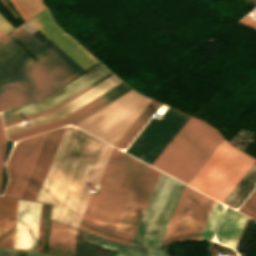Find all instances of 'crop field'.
Segmentation results:
<instances>
[{
	"label": "crop field",
	"mask_w": 256,
	"mask_h": 256,
	"mask_svg": "<svg viewBox=\"0 0 256 256\" xmlns=\"http://www.w3.org/2000/svg\"><path fill=\"white\" fill-rule=\"evenodd\" d=\"M149 101L132 90L75 126L114 146Z\"/></svg>",
	"instance_id": "dd49c442"
},
{
	"label": "crop field",
	"mask_w": 256,
	"mask_h": 256,
	"mask_svg": "<svg viewBox=\"0 0 256 256\" xmlns=\"http://www.w3.org/2000/svg\"><path fill=\"white\" fill-rule=\"evenodd\" d=\"M100 66L103 69H105L107 72H110L104 66H102L100 64V65L96 66L95 68H93L92 70H90L87 73H85L84 75L80 76L76 80L72 81L68 85L64 86L60 90L56 91L52 95L48 96L47 98L39 100V101L34 102L32 104L38 103L40 101L47 100L49 97L53 96L54 94L58 93L59 91L63 90L64 88L68 87L69 85L73 84L74 82H76L77 80L81 79L82 77H84L85 75L89 74L90 72H92L93 70L97 69ZM101 67L98 68L97 70L93 71L89 75L85 76L81 80L77 81L73 85L69 86L68 88L64 89L63 91L59 92L58 94L54 95L53 97L49 98L45 102H41V103L35 104L33 106H30L32 104L26 105V106H30V107L22 106V107H26V108H23V109H19V108H22V107L16 108V109H19V110L13 109L15 111L9 110V111H12V112H9V111L3 112L2 114L9 112V113L3 115L4 121L8 122V121H11V120H14V119H18V118H21V117H24V116H27V115H30V114H33V113H36V112H39V111H43V110H46V109H49V108H52V107L56 106L57 104L61 103L65 99L69 98L70 96H72L76 92L80 91L84 87L88 86L89 84H91L95 80H97L100 77H102L103 75L107 74V72L104 71Z\"/></svg>",
	"instance_id": "d1516ede"
},
{
	"label": "crop field",
	"mask_w": 256,
	"mask_h": 256,
	"mask_svg": "<svg viewBox=\"0 0 256 256\" xmlns=\"http://www.w3.org/2000/svg\"><path fill=\"white\" fill-rule=\"evenodd\" d=\"M238 211L252 217L256 221V188L240 206Z\"/></svg>",
	"instance_id": "ae1a2a85"
},
{
	"label": "crop field",
	"mask_w": 256,
	"mask_h": 256,
	"mask_svg": "<svg viewBox=\"0 0 256 256\" xmlns=\"http://www.w3.org/2000/svg\"><path fill=\"white\" fill-rule=\"evenodd\" d=\"M5 143H6V138H5L3 126H2V123H1V119H0V183H1Z\"/></svg>",
	"instance_id": "d3111659"
},
{
	"label": "crop field",
	"mask_w": 256,
	"mask_h": 256,
	"mask_svg": "<svg viewBox=\"0 0 256 256\" xmlns=\"http://www.w3.org/2000/svg\"><path fill=\"white\" fill-rule=\"evenodd\" d=\"M65 84L39 60L0 83V111L40 99Z\"/></svg>",
	"instance_id": "e52e79f7"
},
{
	"label": "crop field",
	"mask_w": 256,
	"mask_h": 256,
	"mask_svg": "<svg viewBox=\"0 0 256 256\" xmlns=\"http://www.w3.org/2000/svg\"><path fill=\"white\" fill-rule=\"evenodd\" d=\"M240 23L256 29V20H254L248 16L243 18V20Z\"/></svg>",
	"instance_id": "750c4746"
},
{
	"label": "crop field",
	"mask_w": 256,
	"mask_h": 256,
	"mask_svg": "<svg viewBox=\"0 0 256 256\" xmlns=\"http://www.w3.org/2000/svg\"><path fill=\"white\" fill-rule=\"evenodd\" d=\"M111 75H113V74L110 72V73H109L108 75H106L105 77L101 78V79L98 80L97 82L93 83V84L90 85L89 87L85 88L84 90L80 91V92L77 93L76 95L72 96L71 98L67 99L66 101L62 102L61 104H59L58 106H56V107H54V108H52V109H49V110H46V111H43V112H40V113L31 115V116H27V117H24V118H21V119H18V120L9 122V123H6V124H4V126L9 125V124H13V123H16V122H19V121H22V120H26V119H29V118H32V117H35V116H39V115H42V114H45V113H48V112L55 111V110L59 109L60 107L64 106L65 104H67L68 102L72 101L73 99H75V98L78 97L79 95L83 94V93L86 92L87 90L91 89L92 87H94V86L97 85L98 83L102 82V81L105 80L106 78L110 77Z\"/></svg>",
	"instance_id": "eef30255"
},
{
	"label": "crop field",
	"mask_w": 256,
	"mask_h": 256,
	"mask_svg": "<svg viewBox=\"0 0 256 256\" xmlns=\"http://www.w3.org/2000/svg\"><path fill=\"white\" fill-rule=\"evenodd\" d=\"M65 128L47 133L20 198L36 199Z\"/></svg>",
	"instance_id": "22f410ed"
},
{
	"label": "crop field",
	"mask_w": 256,
	"mask_h": 256,
	"mask_svg": "<svg viewBox=\"0 0 256 256\" xmlns=\"http://www.w3.org/2000/svg\"><path fill=\"white\" fill-rule=\"evenodd\" d=\"M122 81H120L118 78H116L114 75L111 76L110 78L106 79L105 81H103L102 83L98 84L97 86H95L94 88H92L91 90L87 91L86 93H84L83 95L79 96L78 98H76L75 100H73L72 102L68 103L67 105H65L64 107L60 108L59 110L52 112V113H48L39 117H35L30 119L31 122L33 124L7 132L6 135H11L35 126H39L60 118H63L67 115H69L70 113H72L73 111L77 110L78 108H80L81 106L85 105L86 103H88L89 101L93 100L94 98L98 97L99 95H101L102 93L106 92L107 90H109L110 88L114 87L115 85H117L118 83H120Z\"/></svg>",
	"instance_id": "d9b57169"
},
{
	"label": "crop field",
	"mask_w": 256,
	"mask_h": 256,
	"mask_svg": "<svg viewBox=\"0 0 256 256\" xmlns=\"http://www.w3.org/2000/svg\"><path fill=\"white\" fill-rule=\"evenodd\" d=\"M222 139L216 129L191 117L151 166L186 184Z\"/></svg>",
	"instance_id": "34b2d1b8"
},
{
	"label": "crop field",
	"mask_w": 256,
	"mask_h": 256,
	"mask_svg": "<svg viewBox=\"0 0 256 256\" xmlns=\"http://www.w3.org/2000/svg\"><path fill=\"white\" fill-rule=\"evenodd\" d=\"M18 200L0 198V247L12 248Z\"/></svg>",
	"instance_id": "214f88e0"
},
{
	"label": "crop field",
	"mask_w": 256,
	"mask_h": 256,
	"mask_svg": "<svg viewBox=\"0 0 256 256\" xmlns=\"http://www.w3.org/2000/svg\"><path fill=\"white\" fill-rule=\"evenodd\" d=\"M27 256H45V255H38V254H31V253H28Z\"/></svg>",
	"instance_id": "5866460e"
},
{
	"label": "crop field",
	"mask_w": 256,
	"mask_h": 256,
	"mask_svg": "<svg viewBox=\"0 0 256 256\" xmlns=\"http://www.w3.org/2000/svg\"><path fill=\"white\" fill-rule=\"evenodd\" d=\"M104 142L72 128L42 201L52 219L70 224Z\"/></svg>",
	"instance_id": "ac0d7876"
},
{
	"label": "crop field",
	"mask_w": 256,
	"mask_h": 256,
	"mask_svg": "<svg viewBox=\"0 0 256 256\" xmlns=\"http://www.w3.org/2000/svg\"><path fill=\"white\" fill-rule=\"evenodd\" d=\"M84 239L101 247L119 250L115 256H146L147 250L107 242L85 233Z\"/></svg>",
	"instance_id": "00972430"
},
{
	"label": "crop field",
	"mask_w": 256,
	"mask_h": 256,
	"mask_svg": "<svg viewBox=\"0 0 256 256\" xmlns=\"http://www.w3.org/2000/svg\"><path fill=\"white\" fill-rule=\"evenodd\" d=\"M214 202L215 200L185 186L161 244L198 239Z\"/></svg>",
	"instance_id": "d8731c3e"
},
{
	"label": "crop field",
	"mask_w": 256,
	"mask_h": 256,
	"mask_svg": "<svg viewBox=\"0 0 256 256\" xmlns=\"http://www.w3.org/2000/svg\"><path fill=\"white\" fill-rule=\"evenodd\" d=\"M160 106L161 104L151 100L147 107L137 118V120L132 124V126L117 142L115 147L125 149L129 145V143L134 139V137L139 133V131L144 127V125L149 121V119L154 115V113L158 110Z\"/></svg>",
	"instance_id": "dafd665d"
},
{
	"label": "crop field",
	"mask_w": 256,
	"mask_h": 256,
	"mask_svg": "<svg viewBox=\"0 0 256 256\" xmlns=\"http://www.w3.org/2000/svg\"><path fill=\"white\" fill-rule=\"evenodd\" d=\"M71 128H72V127H67L66 130H65V132H64V135H63V137H62V140H61V142H60V144H59V147H58V149H57V152H56V154H55V156H54V159H53V161H52V164H51V166H50V168H49V171H48V173H47V175H46V178H45V180H44V183H43V185H42V187H41V190H40L39 195H38V197H37L36 200L41 201L42 198H43V195H44V193H45V190H46V188H47V185H48L49 180H50V178H51V176H52V173H53L54 168H55V166H56V164H57V161H58L59 156H60V154H61V152H62V149H63V147H64V144H65L66 140H67V137H68V135H69V132H70ZM68 138H69V137H68Z\"/></svg>",
	"instance_id": "730fd06b"
},
{
	"label": "crop field",
	"mask_w": 256,
	"mask_h": 256,
	"mask_svg": "<svg viewBox=\"0 0 256 256\" xmlns=\"http://www.w3.org/2000/svg\"><path fill=\"white\" fill-rule=\"evenodd\" d=\"M109 150H110L109 145L104 144V146L102 148V151L100 153V156H99V158L97 160V163H96V165L94 167V170L92 172V175H91V177L89 179V182H88V184L86 186V189H85V191L83 193L81 201H80V203L78 205V208H77V210L75 212L73 220H72V222L70 224L71 226L78 227L79 222L81 220V217L83 215L84 209L86 207V204L88 202V199H89V197H90V195H91V193L93 191V188H94V186L96 184V181H97L98 176H99V174L101 172V169L103 167V164L105 162V159H106V157L108 155Z\"/></svg>",
	"instance_id": "92a150f3"
},
{
	"label": "crop field",
	"mask_w": 256,
	"mask_h": 256,
	"mask_svg": "<svg viewBox=\"0 0 256 256\" xmlns=\"http://www.w3.org/2000/svg\"><path fill=\"white\" fill-rule=\"evenodd\" d=\"M40 208L39 203L19 200L13 248L36 252Z\"/></svg>",
	"instance_id": "cbeb9de0"
},
{
	"label": "crop field",
	"mask_w": 256,
	"mask_h": 256,
	"mask_svg": "<svg viewBox=\"0 0 256 256\" xmlns=\"http://www.w3.org/2000/svg\"><path fill=\"white\" fill-rule=\"evenodd\" d=\"M255 161L224 139L187 185L222 202Z\"/></svg>",
	"instance_id": "412701ff"
},
{
	"label": "crop field",
	"mask_w": 256,
	"mask_h": 256,
	"mask_svg": "<svg viewBox=\"0 0 256 256\" xmlns=\"http://www.w3.org/2000/svg\"><path fill=\"white\" fill-rule=\"evenodd\" d=\"M28 22L53 41L85 70L98 63L96 59L53 23L47 10L42 11Z\"/></svg>",
	"instance_id": "28ad6ade"
},
{
	"label": "crop field",
	"mask_w": 256,
	"mask_h": 256,
	"mask_svg": "<svg viewBox=\"0 0 256 256\" xmlns=\"http://www.w3.org/2000/svg\"><path fill=\"white\" fill-rule=\"evenodd\" d=\"M46 133L19 141L13 147L6 163L10 181L3 196L20 197Z\"/></svg>",
	"instance_id": "3316defc"
},
{
	"label": "crop field",
	"mask_w": 256,
	"mask_h": 256,
	"mask_svg": "<svg viewBox=\"0 0 256 256\" xmlns=\"http://www.w3.org/2000/svg\"><path fill=\"white\" fill-rule=\"evenodd\" d=\"M223 207L215 202L213 209L209 215V218L206 222V225L202 231V234L199 239L201 240H211L213 233L215 231V228L218 224V221L220 219V216L222 214Z\"/></svg>",
	"instance_id": "4177f3b9"
},
{
	"label": "crop field",
	"mask_w": 256,
	"mask_h": 256,
	"mask_svg": "<svg viewBox=\"0 0 256 256\" xmlns=\"http://www.w3.org/2000/svg\"><path fill=\"white\" fill-rule=\"evenodd\" d=\"M130 89L132 88H130L129 86H127L125 83L122 82L63 119L8 136L7 138L12 141H16L18 139L31 136V135H34L52 128H56L65 124L71 123L74 125L77 122L84 119L85 117L92 114L93 112L97 111L101 107L105 106L109 102L113 101L117 97L121 96L125 92L129 91Z\"/></svg>",
	"instance_id": "5142ce71"
},
{
	"label": "crop field",
	"mask_w": 256,
	"mask_h": 256,
	"mask_svg": "<svg viewBox=\"0 0 256 256\" xmlns=\"http://www.w3.org/2000/svg\"><path fill=\"white\" fill-rule=\"evenodd\" d=\"M184 186L160 173L131 244L145 247L160 244Z\"/></svg>",
	"instance_id": "f4fd0767"
},
{
	"label": "crop field",
	"mask_w": 256,
	"mask_h": 256,
	"mask_svg": "<svg viewBox=\"0 0 256 256\" xmlns=\"http://www.w3.org/2000/svg\"><path fill=\"white\" fill-rule=\"evenodd\" d=\"M24 252L17 251L16 256H23Z\"/></svg>",
	"instance_id": "d32e631a"
},
{
	"label": "crop field",
	"mask_w": 256,
	"mask_h": 256,
	"mask_svg": "<svg viewBox=\"0 0 256 256\" xmlns=\"http://www.w3.org/2000/svg\"><path fill=\"white\" fill-rule=\"evenodd\" d=\"M4 79L0 76V81H3Z\"/></svg>",
	"instance_id": "e1f06a70"
},
{
	"label": "crop field",
	"mask_w": 256,
	"mask_h": 256,
	"mask_svg": "<svg viewBox=\"0 0 256 256\" xmlns=\"http://www.w3.org/2000/svg\"><path fill=\"white\" fill-rule=\"evenodd\" d=\"M0 75L6 80L7 78H9L10 76H12L13 74L8 71L1 63H0Z\"/></svg>",
	"instance_id": "bd1437ed"
},
{
	"label": "crop field",
	"mask_w": 256,
	"mask_h": 256,
	"mask_svg": "<svg viewBox=\"0 0 256 256\" xmlns=\"http://www.w3.org/2000/svg\"><path fill=\"white\" fill-rule=\"evenodd\" d=\"M10 2L25 21L44 9L40 0H10Z\"/></svg>",
	"instance_id": "a9b5d70f"
},
{
	"label": "crop field",
	"mask_w": 256,
	"mask_h": 256,
	"mask_svg": "<svg viewBox=\"0 0 256 256\" xmlns=\"http://www.w3.org/2000/svg\"><path fill=\"white\" fill-rule=\"evenodd\" d=\"M0 2L15 18H18L6 0H0Z\"/></svg>",
	"instance_id": "120bbe31"
},
{
	"label": "crop field",
	"mask_w": 256,
	"mask_h": 256,
	"mask_svg": "<svg viewBox=\"0 0 256 256\" xmlns=\"http://www.w3.org/2000/svg\"><path fill=\"white\" fill-rule=\"evenodd\" d=\"M159 173L113 148L78 228L130 244Z\"/></svg>",
	"instance_id": "8a807250"
},
{
	"label": "crop field",
	"mask_w": 256,
	"mask_h": 256,
	"mask_svg": "<svg viewBox=\"0 0 256 256\" xmlns=\"http://www.w3.org/2000/svg\"><path fill=\"white\" fill-rule=\"evenodd\" d=\"M0 28L6 34L14 29L1 15ZM1 29L0 62L14 74L33 61Z\"/></svg>",
	"instance_id": "733c2abd"
},
{
	"label": "crop field",
	"mask_w": 256,
	"mask_h": 256,
	"mask_svg": "<svg viewBox=\"0 0 256 256\" xmlns=\"http://www.w3.org/2000/svg\"><path fill=\"white\" fill-rule=\"evenodd\" d=\"M247 219V217L227 208L216 231L217 240L235 249V243Z\"/></svg>",
	"instance_id": "bc2a9ffb"
},
{
	"label": "crop field",
	"mask_w": 256,
	"mask_h": 256,
	"mask_svg": "<svg viewBox=\"0 0 256 256\" xmlns=\"http://www.w3.org/2000/svg\"><path fill=\"white\" fill-rule=\"evenodd\" d=\"M10 35L65 83L85 71L51 41L46 40L41 44L21 26Z\"/></svg>",
	"instance_id": "5a996713"
},
{
	"label": "crop field",
	"mask_w": 256,
	"mask_h": 256,
	"mask_svg": "<svg viewBox=\"0 0 256 256\" xmlns=\"http://www.w3.org/2000/svg\"><path fill=\"white\" fill-rule=\"evenodd\" d=\"M253 3H254V5L256 6V0H251Z\"/></svg>",
	"instance_id": "028f5c9d"
},
{
	"label": "crop field",
	"mask_w": 256,
	"mask_h": 256,
	"mask_svg": "<svg viewBox=\"0 0 256 256\" xmlns=\"http://www.w3.org/2000/svg\"><path fill=\"white\" fill-rule=\"evenodd\" d=\"M76 230L51 221L47 253L73 256Z\"/></svg>",
	"instance_id": "4a817a6b"
},
{
	"label": "crop field",
	"mask_w": 256,
	"mask_h": 256,
	"mask_svg": "<svg viewBox=\"0 0 256 256\" xmlns=\"http://www.w3.org/2000/svg\"><path fill=\"white\" fill-rule=\"evenodd\" d=\"M16 251L0 249V256H15Z\"/></svg>",
	"instance_id": "1d83c4d3"
}]
</instances>
